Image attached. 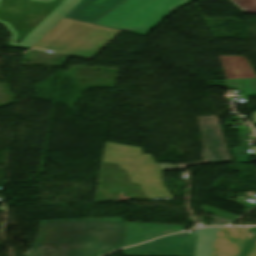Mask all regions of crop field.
Returning <instances> with one entry per match:
<instances>
[{
	"label": "crop field",
	"mask_w": 256,
	"mask_h": 256,
	"mask_svg": "<svg viewBox=\"0 0 256 256\" xmlns=\"http://www.w3.org/2000/svg\"><path fill=\"white\" fill-rule=\"evenodd\" d=\"M228 222H230V220H227V219H224V218H221V217L216 216V218L213 220V222L211 223V225H225V224H227ZM228 224H229V223H228Z\"/></svg>",
	"instance_id": "3316defc"
},
{
	"label": "crop field",
	"mask_w": 256,
	"mask_h": 256,
	"mask_svg": "<svg viewBox=\"0 0 256 256\" xmlns=\"http://www.w3.org/2000/svg\"><path fill=\"white\" fill-rule=\"evenodd\" d=\"M227 81L230 88L244 90L245 95H256V79Z\"/></svg>",
	"instance_id": "e52e79f7"
},
{
	"label": "crop field",
	"mask_w": 256,
	"mask_h": 256,
	"mask_svg": "<svg viewBox=\"0 0 256 256\" xmlns=\"http://www.w3.org/2000/svg\"><path fill=\"white\" fill-rule=\"evenodd\" d=\"M227 79L256 78L246 57L218 56Z\"/></svg>",
	"instance_id": "dd49c442"
},
{
	"label": "crop field",
	"mask_w": 256,
	"mask_h": 256,
	"mask_svg": "<svg viewBox=\"0 0 256 256\" xmlns=\"http://www.w3.org/2000/svg\"><path fill=\"white\" fill-rule=\"evenodd\" d=\"M124 231L119 218L40 221L25 256H101L123 247Z\"/></svg>",
	"instance_id": "ac0d7876"
},
{
	"label": "crop field",
	"mask_w": 256,
	"mask_h": 256,
	"mask_svg": "<svg viewBox=\"0 0 256 256\" xmlns=\"http://www.w3.org/2000/svg\"><path fill=\"white\" fill-rule=\"evenodd\" d=\"M239 135H240V138L242 140L244 148H239V149H234V150H235V153H236V156H237V159H238L239 163H248V161L251 157V154H247V150L249 148V145H248V142L245 141L246 137H245L244 133L239 134Z\"/></svg>",
	"instance_id": "5a996713"
},
{
	"label": "crop field",
	"mask_w": 256,
	"mask_h": 256,
	"mask_svg": "<svg viewBox=\"0 0 256 256\" xmlns=\"http://www.w3.org/2000/svg\"><path fill=\"white\" fill-rule=\"evenodd\" d=\"M191 0H125L94 24L145 35L173 9Z\"/></svg>",
	"instance_id": "f4fd0767"
},
{
	"label": "crop field",
	"mask_w": 256,
	"mask_h": 256,
	"mask_svg": "<svg viewBox=\"0 0 256 256\" xmlns=\"http://www.w3.org/2000/svg\"><path fill=\"white\" fill-rule=\"evenodd\" d=\"M202 132L204 161L186 165H157L141 148L106 142L101 161L118 163L132 183H138L147 199L172 198L162 183L161 170H179L200 163L231 162L216 116L197 117Z\"/></svg>",
	"instance_id": "34b2d1b8"
},
{
	"label": "crop field",
	"mask_w": 256,
	"mask_h": 256,
	"mask_svg": "<svg viewBox=\"0 0 256 256\" xmlns=\"http://www.w3.org/2000/svg\"><path fill=\"white\" fill-rule=\"evenodd\" d=\"M241 12L256 13V0H229Z\"/></svg>",
	"instance_id": "d8731c3e"
},
{
	"label": "crop field",
	"mask_w": 256,
	"mask_h": 256,
	"mask_svg": "<svg viewBox=\"0 0 256 256\" xmlns=\"http://www.w3.org/2000/svg\"><path fill=\"white\" fill-rule=\"evenodd\" d=\"M119 30L64 18L33 48L90 59Z\"/></svg>",
	"instance_id": "412701ff"
},
{
	"label": "crop field",
	"mask_w": 256,
	"mask_h": 256,
	"mask_svg": "<svg viewBox=\"0 0 256 256\" xmlns=\"http://www.w3.org/2000/svg\"><path fill=\"white\" fill-rule=\"evenodd\" d=\"M120 1L0 0V23L12 33L9 45L31 48L64 17L90 23Z\"/></svg>",
	"instance_id": "8a807250"
}]
</instances>
